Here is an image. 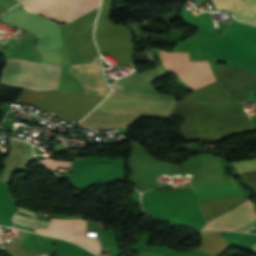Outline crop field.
Wrapping results in <instances>:
<instances>
[{"mask_svg": "<svg viewBox=\"0 0 256 256\" xmlns=\"http://www.w3.org/2000/svg\"><path fill=\"white\" fill-rule=\"evenodd\" d=\"M249 250H251V251H253V252H255V253H256V244H255V245H253Z\"/></svg>", "mask_w": 256, "mask_h": 256, "instance_id": "d9b57169", "label": "crop field"}, {"mask_svg": "<svg viewBox=\"0 0 256 256\" xmlns=\"http://www.w3.org/2000/svg\"><path fill=\"white\" fill-rule=\"evenodd\" d=\"M162 72L164 70L158 67L153 70H147L139 75L132 73L111 84V86L117 90L140 97L175 101V97L157 92L151 84L154 79L161 77Z\"/></svg>", "mask_w": 256, "mask_h": 256, "instance_id": "d8731c3e", "label": "crop field"}, {"mask_svg": "<svg viewBox=\"0 0 256 256\" xmlns=\"http://www.w3.org/2000/svg\"><path fill=\"white\" fill-rule=\"evenodd\" d=\"M70 72L81 80L85 93L105 96L108 88L102 81L97 57L91 63L71 66Z\"/></svg>", "mask_w": 256, "mask_h": 256, "instance_id": "3316defc", "label": "crop field"}, {"mask_svg": "<svg viewBox=\"0 0 256 256\" xmlns=\"http://www.w3.org/2000/svg\"><path fill=\"white\" fill-rule=\"evenodd\" d=\"M216 9L231 10L237 19L256 24V0H212Z\"/></svg>", "mask_w": 256, "mask_h": 256, "instance_id": "28ad6ade", "label": "crop field"}, {"mask_svg": "<svg viewBox=\"0 0 256 256\" xmlns=\"http://www.w3.org/2000/svg\"><path fill=\"white\" fill-rule=\"evenodd\" d=\"M75 19L98 7L100 0H56ZM55 0H26L22 4L26 11L39 13L59 22H70L74 18Z\"/></svg>", "mask_w": 256, "mask_h": 256, "instance_id": "e52e79f7", "label": "crop field"}, {"mask_svg": "<svg viewBox=\"0 0 256 256\" xmlns=\"http://www.w3.org/2000/svg\"><path fill=\"white\" fill-rule=\"evenodd\" d=\"M160 53L163 67L195 91L215 81L209 60L189 61V52Z\"/></svg>", "mask_w": 256, "mask_h": 256, "instance_id": "f4fd0767", "label": "crop field"}, {"mask_svg": "<svg viewBox=\"0 0 256 256\" xmlns=\"http://www.w3.org/2000/svg\"><path fill=\"white\" fill-rule=\"evenodd\" d=\"M229 247V244L218 232H202L201 243L193 250L203 251L210 255H218L223 254Z\"/></svg>", "mask_w": 256, "mask_h": 256, "instance_id": "d1516ede", "label": "crop field"}, {"mask_svg": "<svg viewBox=\"0 0 256 256\" xmlns=\"http://www.w3.org/2000/svg\"><path fill=\"white\" fill-rule=\"evenodd\" d=\"M59 72L60 67L56 65L8 59L2 71L1 82L32 90H56Z\"/></svg>", "mask_w": 256, "mask_h": 256, "instance_id": "412701ff", "label": "crop field"}, {"mask_svg": "<svg viewBox=\"0 0 256 256\" xmlns=\"http://www.w3.org/2000/svg\"><path fill=\"white\" fill-rule=\"evenodd\" d=\"M85 224L86 220L51 219L49 229L85 230ZM35 232L73 241L95 254L99 251V243L92 238H87L85 231L35 229Z\"/></svg>", "mask_w": 256, "mask_h": 256, "instance_id": "5a996713", "label": "crop field"}, {"mask_svg": "<svg viewBox=\"0 0 256 256\" xmlns=\"http://www.w3.org/2000/svg\"><path fill=\"white\" fill-rule=\"evenodd\" d=\"M174 114L182 115L179 126L187 141L215 140L224 136L252 130L246 112L240 104H181L177 103Z\"/></svg>", "mask_w": 256, "mask_h": 256, "instance_id": "8a807250", "label": "crop field"}, {"mask_svg": "<svg viewBox=\"0 0 256 256\" xmlns=\"http://www.w3.org/2000/svg\"><path fill=\"white\" fill-rule=\"evenodd\" d=\"M198 201L242 194L233 180L193 186ZM256 219L253 204L248 200L236 209L208 222L202 230H236Z\"/></svg>", "mask_w": 256, "mask_h": 256, "instance_id": "34b2d1b8", "label": "crop field"}, {"mask_svg": "<svg viewBox=\"0 0 256 256\" xmlns=\"http://www.w3.org/2000/svg\"><path fill=\"white\" fill-rule=\"evenodd\" d=\"M0 20L37 34L40 38L39 48L41 51H47L63 46L59 25L38 14H31L13 8L1 15Z\"/></svg>", "mask_w": 256, "mask_h": 256, "instance_id": "dd49c442", "label": "crop field"}, {"mask_svg": "<svg viewBox=\"0 0 256 256\" xmlns=\"http://www.w3.org/2000/svg\"><path fill=\"white\" fill-rule=\"evenodd\" d=\"M14 223L22 226L32 227V228H45L48 229L49 222L39 219L29 218L21 215H15Z\"/></svg>", "mask_w": 256, "mask_h": 256, "instance_id": "cbeb9de0", "label": "crop field"}, {"mask_svg": "<svg viewBox=\"0 0 256 256\" xmlns=\"http://www.w3.org/2000/svg\"><path fill=\"white\" fill-rule=\"evenodd\" d=\"M216 82L184 97L180 102H242L256 93V75L236 68L215 65Z\"/></svg>", "mask_w": 256, "mask_h": 256, "instance_id": "ac0d7876", "label": "crop field"}, {"mask_svg": "<svg viewBox=\"0 0 256 256\" xmlns=\"http://www.w3.org/2000/svg\"><path fill=\"white\" fill-rule=\"evenodd\" d=\"M232 164L239 170V172L250 171L256 169V159L235 161ZM248 184L256 189V170L250 172L241 173Z\"/></svg>", "mask_w": 256, "mask_h": 256, "instance_id": "22f410ed", "label": "crop field"}, {"mask_svg": "<svg viewBox=\"0 0 256 256\" xmlns=\"http://www.w3.org/2000/svg\"><path fill=\"white\" fill-rule=\"evenodd\" d=\"M19 209L22 210V211H24V212H26V213H29V214L34 215V212H32V211L26 210V209L21 208V207H19Z\"/></svg>", "mask_w": 256, "mask_h": 256, "instance_id": "5142ce71", "label": "crop field"}, {"mask_svg": "<svg viewBox=\"0 0 256 256\" xmlns=\"http://www.w3.org/2000/svg\"><path fill=\"white\" fill-rule=\"evenodd\" d=\"M0 233H1V231H0Z\"/></svg>", "mask_w": 256, "mask_h": 256, "instance_id": "4a817a6b", "label": "crop field"}, {"mask_svg": "<svg viewBox=\"0 0 256 256\" xmlns=\"http://www.w3.org/2000/svg\"><path fill=\"white\" fill-rule=\"evenodd\" d=\"M41 256H47L46 254H44V255H41Z\"/></svg>", "mask_w": 256, "mask_h": 256, "instance_id": "733c2abd", "label": "crop field"}]
</instances>
